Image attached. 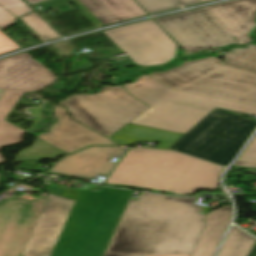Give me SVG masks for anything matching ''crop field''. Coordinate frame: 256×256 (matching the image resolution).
<instances>
[{"mask_svg": "<svg viewBox=\"0 0 256 256\" xmlns=\"http://www.w3.org/2000/svg\"><path fill=\"white\" fill-rule=\"evenodd\" d=\"M196 198L141 192L132 212L124 211L104 256L191 255L206 222Z\"/></svg>", "mask_w": 256, "mask_h": 256, "instance_id": "8a807250", "label": "crop field"}, {"mask_svg": "<svg viewBox=\"0 0 256 256\" xmlns=\"http://www.w3.org/2000/svg\"><path fill=\"white\" fill-rule=\"evenodd\" d=\"M223 170L224 167L174 151L136 149L128 150L106 183L182 195L198 189L216 190Z\"/></svg>", "mask_w": 256, "mask_h": 256, "instance_id": "ac0d7876", "label": "crop field"}, {"mask_svg": "<svg viewBox=\"0 0 256 256\" xmlns=\"http://www.w3.org/2000/svg\"><path fill=\"white\" fill-rule=\"evenodd\" d=\"M132 192L81 190L51 256H103Z\"/></svg>", "mask_w": 256, "mask_h": 256, "instance_id": "34b2d1b8", "label": "crop field"}, {"mask_svg": "<svg viewBox=\"0 0 256 256\" xmlns=\"http://www.w3.org/2000/svg\"><path fill=\"white\" fill-rule=\"evenodd\" d=\"M151 108L133 124L185 134L215 107L256 115V106L171 89L148 75L124 86Z\"/></svg>", "mask_w": 256, "mask_h": 256, "instance_id": "412701ff", "label": "crop field"}, {"mask_svg": "<svg viewBox=\"0 0 256 256\" xmlns=\"http://www.w3.org/2000/svg\"><path fill=\"white\" fill-rule=\"evenodd\" d=\"M181 64L149 75L171 88L256 105V72L223 64L214 56Z\"/></svg>", "mask_w": 256, "mask_h": 256, "instance_id": "f4fd0767", "label": "crop field"}, {"mask_svg": "<svg viewBox=\"0 0 256 256\" xmlns=\"http://www.w3.org/2000/svg\"><path fill=\"white\" fill-rule=\"evenodd\" d=\"M256 122L215 108L168 149L228 166Z\"/></svg>", "mask_w": 256, "mask_h": 256, "instance_id": "dd49c442", "label": "crop field"}, {"mask_svg": "<svg viewBox=\"0 0 256 256\" xmlns=\"http://www.w3.org/2000/svg\"><path fill=\"white\" fill-rule=\"evenodd\" d=\"M60 105L68 108L72 118L107 137L148 109L122 86H106L98 94L72 95Z\"/></svg>", "mask_w": 256, "mask_h": 256, "instance_id": "e52e79f7", "label": "crop field"}, {"mask_svg": "<svg viewBox=\"0 0 256 256\" xmlns=\"http://www.w3.org/2000/svg\"><path fill=\"white\" fill-rule=\"evenodd\" d=\"M27 52L0 60V148L22 142L25 131L4 121L24 92L39 90L56 78ZM5 159L0 154V162ZM1 164V163H0Z\"/></svg>", "mask_w": 256, "mask_h": 256, "instance_id": "d8731c3e", "label": "crop field"}, {"mask_svg": "<svg viewBox=\"0 0 256 256\" xmlns=\"http://www.w3.org/2000/svg\"><path fill=\"white\" fill-rule=\"evenodd\" d=\"M104 33L135 63L147 66L162 64L176 55V43L153 20L140 22Z\"/></svg>", "mask_w": 256, "mask_h": 256, "instance_id": "5a996713", "label": "crop field"}, {"mask_svg": "<svg viewBox=\"0 0 256 256\" xmlns=\"http://www.w3.org/2000/svg\"><path fill=\"white\" fill-rule=\"evenodd\" d=\"M184 48L227 46L234 37L206 7L155 19Z\"/></svg>", "mask_w": 256, "mask_h": 256, "instance_id": "3316defc", "label": "crop field"}, {"mask_svg": "<svg viewBox=\"0 0 256 256\" xmlns=\"http://www.w3.org/2000/svg\"><path fill=\"white\" fill-rule=\"evenodd\" d=\"M45 199H6L0 203V256H23Z\"/></svg>", "mask_w": 256, "mask_h": 256, "instance_id": "28ad6ade", "label": "crop field"}, {"mask_svg": "<svg viewBox=\"0 0 256 256\" xmlns=\"http://www.w3.org/2000/svg\"><path fill=\"white\" fill-rule=\"evenodd\" d=\"M74 200L48 195L24 256H50L68 218Z\"/></svg>", "mask_w": 256, "mask_h": 256, "instance_id": "d1516ede", "label": "crop field"}, {"mask_svg": "<svg viewBox=\"0 0 256 256\" xmlns=\"http://www.w3.org/2000/svg\"><path fill=\"white\" fill-rule=\"evenodd\" d=\"M58 122L38 138L73 154L89 145H115L107 138L72 120L61 106H54Z\"/></svg>", "mask_w": 256, "mask_h": 256, "instance_id": "22f410ed", "label": "crop field"}, {"mask_svg": "<svg viewBox=\"0 0 256 256\" xmlns=\"http://www.w3.org/2000/svg\"><path fill=\"white\" fill-rule=\"evenodd\" d=\"M123 150L119 146L90 147L74 155H67L49 171L61 174L92 178L97 174L107 175L115 164L114 156L120 157Z\"/></svg>", "mask_w": 256, "mask_h": 256, "instance_id": "cbeb9de0", "label": "crop field"}, {"mask_svg": "<svg viewBox=\"0 0 256 256\" xmlns=\"http://www.w3.org/2000/svg\"><path fill=\"white\" fill-rule=\"evenodd\" d=\"M31 5L44 0H27ZM98 27L147 14L133 0H71Z\"/></svg>", "mask_w": 256, "mask_h": 256, "instance_id": "5142ce71", "label": "crop field"}, {"mask_svg": "<svg viewBox=\"0 0 256 256\" xmlns=\"http://www.w3.org/2000/svg\"><path fill=\"white\" fill-rule=\"evenodd\" d=\"M207 8L237 41L242 44L251 41L247 35L256 25V0H235Z\"/></svg>", "mask_w": 256, "mask_h": 256, "instance_id": "d9b57169", "label": "crop field"}, {"mask_svg": "<svg viewBox=\"0 0 256 256\" xmlns=\"http://www.w3.org/2000/svg\"><path fill=\"white\" fill-rule=\"evenodd\" d=\"M231 217L232 206H223L209 213L204 219L207 223L192 256H213Z\"/></svg>", "mask_w": 256, "mask_h": 256, "instance_id": "733c2abd", "label": "crop field"}, {"mask_svg": "<svg viewBox=\"0 0 256 256\" xmlns=\"http://www.w3.org/2000/svg\"><path fill=\"white\" fill-rule=\"evenodd\" d=\"M255 241L253 237L232 226L218 256H247Z\"/></svg>", "mask_w": 256, "mask_h": 256, "instance_id": "4a817a6b", "label": "crop field"}, {"mask_svg": "<svg viewBox=\"0 0 256 256\" xmlns=\"http://www.w3.org/2000/svg\"><path fill=\"white\" fill-rule=\"evenodd\" d=\"M60 153L65 152L37 138L33 146L20 151L15 161L51 158Z\"/></svg>", "mask_w": 256, "mask_h": 256, "instance_id": "bc2a9ffb", "label": "crop field"}, {"mask_svg": "<svg viewBox=\"0 0 256 256\" xmlns=\"http://www.w3.org/2000/svg\"><path fill=\"white\" fill-rule=\"evenodd\" d=\"M223 57L227 63L256 70V50L237 48L227 52Z\"/></svg>", "mask_w": 256, "mask_h": 256, "instance_id": "214f88e0", "label": "crop field"}, {"mask_svg": "<svg viewBox=\"0 0 256 256\" xmlns=\"http://www.w3.org/2000/svg\"><path fill=\"white\" fill-rule=\"evenodd\" d=\"M149 14L169 10L177 7H184L196 3H200L199 0H177L181 6L175 0H136Z\"/></svg>", "mask_w": 256, "mask_h": 256, "instance_id": "92a150f3", "label": "crop field"}, {"mask_svg": "<svg viewBox=\"0 0 256 256\" xmlns=\"http://www.w3.org/2000/svg\"><path fill=\"white\" fill-rule=\"evenodd\" d=\"M45 41L60 38L61 36L46 24L35 12L21 17Z\"/></svg>", "mask_w": 256, "mask_h": 256, "instance_id": "dafd665d", "label": "crop field"}, {"mask_svg": "<svg viewBox=\"0 0 256 256\" xmlns=\"http://www.w3.org/2000/svg\"><path fill=\"white\" fill-rule=\"evenodd\" d=\"M233 166L256 168V135Z\"/></svg>", "mask_w": 256, "mask_h": 256, "instance_id": "00972430", "label": "crop field"}, {"mask_svg": "<svg viewBox=\"0 0 256 256\" xmlns=\"http://www.w3.org/2000/svg\"><path fill=\"white\" fill-rule=\"evenodd\" d=\"M0 5L10 10L18 17L32 11V9L22 0H0Z\"/></svg>", "mask_w": 256, "mask_h": 256, "instance_id": "a9b5d70f", "label": "crop field"}, {"mask_svg": "<svg viewBox=\"0 0 256 256\" xmlns=\"http://www.w3.org/2000/svg\"><path fill=\"white\" fill-rule=\"evenodd\" d=\"M18 49L21 47L0 30V55Z\"/></svg>", "mask_w": 256, "mask_h": 256, "instance_id": "4177f3b9", "label": "crop field"}, {"mask_svg": "<svg viewBox=\"0 0 256 256\" xmlns=\"http://www.w3.org/2000/svg\"><path fill=\"white\" fill-rule=\"evenodd\" d=\"M17 18L0 7V29L3 30L15 23Z\"/></svg>", "mask_w": 256, "mask_h": 256, "instance_id": "730fd06b", "label": "crop field"}, {"mask_svg": "<svg viewBox=\"0 0 256 256\" xmlns=\"http://www.w3.org/2000/svg\"><path fill=\"white\" fill-rule=\"evenodd\" d=\"M37 162L38 161L22 162V164L19 166V168L32 170L33 167L37 164Z\"/></svg>", "mask_w": 256, "mask_h": 256, "instance_id": "eef30255", "label": "crop field"}, {"mask_svg": "<svg viewBox=\"0 0 256 256\" xmlns=\"http://www.w3.org/2000/svg\"><path fill=\"white\" fill-rule=\"evenodd\" d=\"M136 201H137V200L129 201L128 204H127V206H126V208H125V210L132 211V209H133V207H134Z\"/></svg>", "mask_w": 256, "mask_h": 256, "instance_id": "ae1a2a85", "label": "crop field"}, {"mask_svg": "<svg viewBox=\"0 0 256 256\" xmlns=\"http://www.w3.org/2000/svg\"><path fill=\"white\" fill-rule=\"evenodd\" d=\"M248 256H256V242L253 245V247H252V249H251V251H250Z\"/></svg>", "mask_w": 256, "mask_h": 256, "instance_id": "d3111659", "label": "crop field"}, {"mask_svg": "<svg viewBox=\"0 0 256 256\" xmlns=\"http://www.w3.org/2000/svg\"><path fill=\"white\" fill-rule=\"evenodd\" d=\"M209 48H213V47L191 48V49H186V50L188 52H191V51H197V50H203V49H209Z\"/></svg>", "mask_w": 256, "mask_h": 256, "instance_id": "750c4746", "label": "crop field"}, {"mask_svg": "<svg viewBox=\"0 0 256 256\" xmlns=\"http://www.w3.org/2000/svg\"><path fill=\"white\" fill-rule=\"evenodd\" d=\"M51 190V192L53 193V194H55V195H57V196H60V194H61V192L62 191H59V190H53V189H50Z\"/></svg>", "mask_w": 256, "mask_h": 256, "instance_id": "bd1437ed", "label": "crop field"}, {"mask_svg": "<svg viewBox=\"0 0 256 256\" xmlns=\"http://www.w3.org/2000/svg\"><path fill=\"white\" fill-rule=\"evenodd\" d=\"M6 180H7L6 177H2V176L0 175V181H6Z\"/></svg>", "mask_w": 256, "mask_h": 256, "instance_id": "1d83c4d3", "label": "crop field"}, {"mask_svg": "<svg viewBox=\"0 0 256 256\" xmlns=\"http://www.w3.org/2000/svg\"><path fill=\"white\" fill-rule=\"evenodd\" d=\"M247 46L250 47V48L256 49L255 45L250 44V45H247Z\"/></svg>", "mask_w": 256, "mask_h": 256, "instance_id": "120bbe31", "label": "crop field"}, {"mask_svg": "<svg viewBox=\"0 0 256 256\" xmlns=\"http://www.w3.org/2000/svg\"><path fill=\"white\" fill-rule=\"evenodd\" d=\"M172 256H184V255H172Z\"/></svg>", "mask_w": 256, "mask_h": 256, "instance_id": "d32e631a", "label": "crop field"}, {"mask_svg": "<svg viewBox=\"0 0 256 256\" xmlns=\"http://www.w3.org/2000/svg\"><path fill=\"white\" fill-rule=\"evenodd\" d=\"M201 2L208 1V0H200ZM209 2V1H208Z\"/></svg>", "mask_w": 256, "mask_h": 256, "instance_id": "5866460e", "label": "crop field"}]
</instances>
